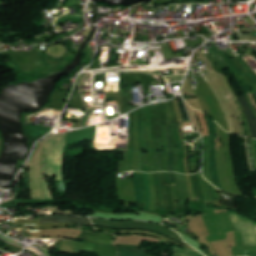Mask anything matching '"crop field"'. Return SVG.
<instances>
[{
  "instance_id": "8a807250",
  "label": "crop field",
  "mask_w": 256,
  "mask_h": 256,
  "mask_svg": "<svg viewBox=\"0 0 256 256\" xmlns=\"http://www.w3.org/2000/svg\"><path fill=\"white\" fill-rule=\"evenodd\" d=\"M94 225L103 226V227H110L116 229H147L157 233L164 234L180 243L185 244L181 241L179 235L163 226L158 224L149 223V222H141V221H131V222H114V221H105L99 219H93Z\"/></svg>"
},
{
  "instance_id": "ac0d7876",
  "label": "crop field",
  "mask_w": 256,
  "mask_h": 256,
  "mask_svg": "<svg viewBox=\"0 0 256 256\" xmlns=\"http://www.w3.org/2000/svg\"><path fill=\"white\" fill-rule=\"evenodd\" d=\"M39 219H40V223H76V224L93 226L91 221L87 218L58 216V217H39Z\"/></svg>"
},
{
  "instance_id": "34b2d1b8",
  "label": "crop field",
  "mask_w": 256,
  "mask_h": 256,
  "mask_svg": "<svg viewBox=\"0 0 256 256\" xmlns=\"http://www.w3.org/2000/svg\"><path fill=\"white\" fill-rule=\"evenodd\" d=\"M210 173L212 176V180L214 186L223 190L218 171H217V163H216V144L214 140L210 139Z\"/></svg>"
},
{
  "instance_id": "412701ff",
  "label": "crop field",
  "mask_w": 256,
  "mask_h": 256,
  "mask_svg": "<svg viewBox=\"0 0 256 256\" xmlns=\"http://www.w3.org/2000/svg\"><path fill=\"white\" fill-rule=\"evenodd\" d=\"M199 176H200L202 188H203L204 195H205V201L219 200L214 187L203 179L201 172H199Z\"/></svg>"
},
{
  "instance_id": "f4fd0767",
  "label": "crop field",
  "mask_w": 256,
  "mask_h": 256,
  "mask_svg": "<svg viewBox=\"0 0 256 256\" xmlns=\"http://www.w3.org/2000/svg\"><path fill=\"white\" fill-rule=\"evenodd\" d=\"M204 140V167L203 175L204 177L212 183L210 174H209V142L208 138H203Z\"/></svg>"
},
{
  "instance_id": "dd49c442",
  "label": "crop field",
  "mask_w": 256,
  "mask_h": 256,
  "mask_svg": "<svg viewBox=\"0 0 256 256\" xmlns=\"http://www.w3.org/2000/svg\"><path fill=\"white\" fill-rule=\"evenodd\" d=\"M147 249L119 248V256H149L145 253Z\"/></svg>"
},
{
  "instance_id": "e52e79f7",
  "label": "crop field",
  "mask_w": 256,
  "mask_h": 256,
  "mask_svg": "<svg viewBox=\"0 0 256 256\" xmlns=\"http://www.w3.org/2000/svg\"><path fill=\"white\" fill-rule=\"evenodd\" d=\"M175 136H176L178 145H179V147H180V149H181V150L178 151V154H179L180 173H185V171H184V163H183L184 151H183V147H182V144H181V140H180L178 131H175Z\"/></svg>"
},
{
  "instance_id": "d8731c3e",
  "label": "crop field",
  "mask_w": 256,
  "mask_h": 256,
  "mask_svg": "<svg viewBox=\"0 0 256 256\" xmlns=\"http://www.w3.org/2000/svg\"><path fill=\"white\" fill-rule=\"evenodd\" d=\"M51 128L42 126H31V136L44 135L48 133Z\"/></svg>"
},
{
  "instance_id": "5a996713",
  "label": "crop field",
  "mask_w": 256,
  "mask_h": 256,
  "mask_svg": "<svg viewBox=\"0 0 256 256\" xmlns=\"http://www.w3.org/2000/svg\"><path fill=\"white\" fill-rule=\"evenodd\" d=\"M167 131H168V142H169L168 170L173 172V149H172L171 138H170V127H167Z\"/></svg>"
},
{
  "instance_id": "3316defc",
  "label": "crop field",
  "mask_w": 256,
  "mask_h": 256,
  "mask_svg": "<svg viewBox=\"0 0 256 256\" xmlns=\"http://www.w3.org/2000/svg\"><path fill=\"white\" fill-rule=\"evenodd\" d=\"M174 250H175V254L176 256H202L201 254L199 253H195V252H191V251H187V250H184V249H181L179 247H175L174 246Z\"/></svg>"
},
{
  "instance_id": "28ad6ade",
  "label": "crop field",
  "mask_w": 256,
  "mask_h": 256,
  "mask_svg": "<svg viewBox=\"0 0 256 256\" xmlns=\"http://www.w3.org/2000/svg\"><path fill=\"white\" fill-rule=\"evenodd\" d=\"M238 100H239L240 104L242 105V107H243V109H244V111H245V113H246L247 119H248V121H249V127H250V130H251V132H252V138H255V139H256V129H255V127H254V124H253V122L251 121V118H250V116H249V114H248V112H247V110H246V108H245V106H244V104H243L241 98L238 97Z\"/></svg>"
},
{
  "instance_id": "d1516ede",
  "label": "crop field",
  "mask_w": 256,
  "mask_h": 256,
  "mask_svg": "<svg viewBox=\"0 0 256 256\" xmlns=\"http://www.w3.org/2000/svg\"><path fill=\"white\" fill-rule=\"evenodd\" d=\"M143 174V179L145 183V188H146V193H147V203H146V210L149 209V203H150V186H149V181H148V176L145 173Z\"/></svg>"
},
{
  "instance_id": "22f410ed",
  "label": "crop field",
  "mask_w": 256,
  "mask_h": 256,
  "mask_svg": "<svg viewBox=\"0 0 256 256\" xmlns=\"http://www.w3.org/2000/svg\"><path fill=\"white\" fill-rule=\"evenodd\" d=\"M209 130H210V135L217 138V131H216V123L209 117L206 116Z\"/></svg>"
},
{
  "instance_id": "cbeb9de0",
  "label": "crop field",
  "mask_w": 256,
  "mask_h": 256,
  "mask_svg": "<svg viewBox=\"0 0 256 256\" xmlns=\"http://www.w3.org/2000/svg\"><path fill=\"white\" fill-rule=\"evenodd\" d=\"M138 177H139L141 191H142V200H141V202L145 203V189H144V183H143L141 173H138Z\"/></svg>"
},
{
  "instance_id": "5142ce71",
  "label": "crop field",
  "mask_w": 256,
  "mask_h": 256,
  "mask_svg": "<svg viewBox=\"0 0 256 256\" xmlns=\"http://www.w3.org/2000/svg\"><path fill=\"white\" fill-rule=\"evenodd\" d=\"M143 133H144V149L147 150V128L145 123H143Z\"/></svg>"
},
{
  "instance_id": "d9b57169",
  "label": "crop field",
  "mask_w": 256,
  "mask_h": 256,
  "mask_svg": "<svg viewBox=\"0 0 256 256\" xmlns=\"http://www.w3.org/2000/svg\"><path fill=\"white\" fill-rule=\"evenodd\" d=\"M242 99H243V101H244V103H245V105H246V107H247V109H248V111H249V113H250V115H251V117H252L253 122H254L255 125H256V119H255V117H254L252 111L250 110V108H249V106H248V104H247V101H246L245 97L242 96Z\"/></svg>"
},
{
  "instance_id": "733c2abd",
  "label": "crop field",
  "mask_w": 256,
  "mask_h": 256,
  "mask_svg": "<svg viewBox=\"0 0 256 256\" xmlns=\"http://www.w3.org/2000/svg\"><path fill=\"white\" fill-rule=\"evenodd\" d=\"M139 144H142V122H138Z\"/></svg>"
},
{
  "instance_id": "4a817a6b",
  "label": "crop field",
  "mask_w": 256,
  "mask_h": 256,
  "mask_svg": "<svg viewBox=\"0 0 256 256\" xmlns=\"http://www.w3.org/2000/svg\"><path fill=\"white\" fill-rule=\"evenodd\" d=\"M157 177H158V185H159V193H160V200H161V206H162V209H164V203H163V197H162V191H161V186H160V179H159V175L157 173Z\"/></svg>"
},
{
  "instance_id": "bc2a9ffb",
  "label": "crop field",
  "mask_w": 256,
  "mask_h": 256,
  "mask_svg": "<svg viewBox=\"0 0 256 256\" xmlns=\"http://www.w3.org/2000/svg\"><path fill=\"white\" fill-rule=\"evenodd\" d=\"M193 179H194V183H195V186H196V195H197V200H199L198 187H197V183H196V180H195L194 175H193Z\"/></svg>"
},
{
  "instance_id": "214f88e0",
  "label": "crop field",
  "mask_w": 256,
  "mask_h": 256,
  "mask_svg": "<svg viewBox=\"0 0 256 256\" xmlns=\"http://www.w3.org/2000/svg\"><path fill=\"white\" fill-rule=\"evenodd\" d=\"M245 254H246V256H256V253H254V252L245 251Z\"/></svg>"
},
{
  "instance_id": "92a150f3",
  "label": "crop field",
  "mask_w": 256,
  "mask_h": 256,
  "mask_svg": "<svg viewBox=\"0 0 256 256\" xmlns=\"http://www.w3.org/2000/svg\"><path fill=\"white\" fill-rule=\"evenodd\" d=\"M146 165L147 163H142V172H147Z\"/></svg>"
},
{
  "instance_id": "dafd665d",
  "label": "crop field",
  "mask_w": 256,
  "mask_h": 256,
  "mask_svg": "<svg viewBox=\"0 0 256 256\" xmlns=\"http://www.w3.org/2000/svg\"><path fill=\"white\" fill-rule=\"evenodd\" d=\"M171 182H175L174 173H169Z\"/></svg>"
},
{
  "instance_id": "00972430",
  "label": "crop field",
  "mask_w": 256,
  "mask_h": 256,
  "mask_svg": "<svg viewBox=\"0 0 256 256\" xmlns=\"http://www.w3.org/2000/svg\"><path fill=\"white\" fill-rule=\"evenodd\" d=\"M191 178V182H192V186H193V196H194V200L196 199V196H195V191H194V185H193V181H192V177L190 176Z\"/></svg>"
},
{
  "instance_id": "a9b5d70f",
  "label": "crop field",
  "mask_w": 256,
  "mask_h": 256,
  "mask_svg": "<svg viewBox=\"0 0 256 256\" xmlns=\"http://www.w3.org/2000/svg\"><path fill=\"white\" fill-rule=\"evenodd\" d=\"M254 142V148H255V154H256V140H253Z\"/></svg>"
},
{
  "instance_id": "4177f3b9",
  "label": "crop field",
  "mask_w": 256,
  "mask_h": 256,
  "mask_svg": "<svg viewBox=\"0 0 256 256\" xmlns=\"http://www.w3.org/2000/svg\"><path fill=\"white\" fill-rule=\"evenodd\" d=\"M247 95H248V94H247ZM248 97H249V95H248ZM249 99H250V97H249ZM250 101H251V99H250ZM251 104H252V106H253V108H254V105H253L252 101H251ZM254 110H255V108H254ZM255 112H256V110H255Z\"/></svg>"
}]
</instances>
